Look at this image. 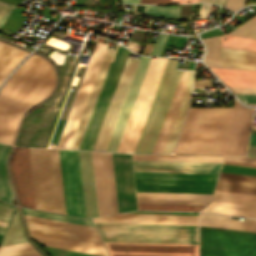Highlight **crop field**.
I'll list each match as a JSON object with an SVG mask.
<instances>
[{"instance_id":"51","label":"crop field","mask_w":256,"mask_h":256,"mask_svg":"<svg viewBox=\"0 0 256 256\" xmlns=\"http://www.w3.org/2000/svg\"><path fill=\"white\" fill-rule=\"evenodd\" d=\"M170 0H140L139 3H165L168 4Z\"/></svg>"},{"instance_id":"36","label":"crop field","mask_w":256,"mask_h":256,"mask_svg":"<svg viewBox=\"0 0 256 256\" xmlns=\"http://www.w3.org/2000/svg\"><path fill=\"white\" fill-rule=\"evenodd\" d=\"M23 213L26 214V215H32V216H37V217H43V218H48V219L60 220V221L71 222V223H76V224H82V225L95 227L93 222L91 220H88V219H82V218H76V217H70V216L40 212V211H37V210L27 209V208L23 209Z\"/></svg>"},{"instance_id":"15","label":"crop field","mask_w":256,"mask_h":256,"mask_svg":"<svg viewBox=\"0 0 256 256\" xmlns=\"http://www.w3.org/2000/svg\"><path fill=\"white\" fill-rule=\"evenodd\" d=\"M216 181L135 178L136 191L211 194Z\"/></svg>"},{"instance_id":"9","label":"crop field","mask_w":256,"mask_h":256,"mask_svg":"<svg viewBox=\"0 0 256 256\" xmlns=\"http://www.w3.org/2000/svg\"><path fill=\"white\" fill-rule=\"evenodd\" d=\"M96 41L101 42L102 39L97 38ZM99 42H96L93 48L92 54L90 56L89 62L84 72L82 81L80 83L79 89L77 91L76 97L71 107L69 116L67 118V121L64 126L63 132L61 134L60 140L58 142L57 148H69L72 142L74 133L79 123L81 114L83 112L85 103L90 93L96 73L98 71L103 54L108 44V43L104 44Z\"/></svg>"},{"instance_id":"49","label":"crop field","mask_w":256,"mask_h":256,"mask_svg":"<svg viewBox=\"0 0 256 256\" xmlns=\"http://www.w3.org/2000/svg\"><path fill=\"white\" fill-rule=\"evenodd\" d=\"M210 4H202L199 10V15L201 16L199 19H206L208 17L209 11L211 9Z\"/></svg>"},{"instance_id":"55","label":"crop field","mask_w":256,"mask_h":256,"mask_svg":"<svg viewBox=\"0 0 256 256\" xmlns=\"http://www.w3.org/2000/svg\"><path fill=\"white\" fill-rule=\"evenodd\" d=\"M120 2H131V3H138L139 0H118Z\"/></svg>"},{"instance_id":"1","label":"crop field","mask_w":256,"mask_h":256,"mask_svg":"<svg viewBox=\"0 0 256 256\" xmlns=\"http://www.w3.org/2000/svg\"><path fill=\"white\" fill-rule=\"evenodd\" d=\"M253 109L191 108L174 153L244 155Z\"/></svg>"},{"instance_id":"54","label":"crop field","mask_w":256,"mask_h":256,"mask_svg":"<svg viewBox=\"0 0 256 256\" xmlns=\"http://www.w3.org/2000/svg\"><path fill=\"white\" fill-rule=\"evenodd\" d=\"M214 3H216V4H220V5H225V3H226V0H215V2Z\"/></svg>"},{"instance_id":"57","label":"crop field","mask_w":256,"mask_h":256,"mask_svg":"<svg viewBox=\"0 0 256 256\" xmlns=\"http://www.w3.org/2000/svg\"><path fill=\"white\" fill-rule=\"evenodd\" d=\"M224 163H227V164H236V165H245V166H254V165L237 164V163H228V162H224ZM254 167H256V166H254Z\"/></svg>"},{"instance_id":"14","label":"crop field","mask_w":256,"mask_h":256,"mask_svg":"<svg viewBox=\"0 0 256 256\" xmlns=\"http://www.w3.org/2000/svg\"><path fill=\"white\" fill-rule=\"evenodd\" d=\"M10 174L19 204L35 208L28 148L15 147Z\"/></svg>"},{"instance_id":"33","label":"crop field","mask_w":256,"mask_h":256,"mask_svg":"<svg viewBox=\"0 0 256 256\" xmlns=\"http://www.w3.org/2000/svg\"><path fill=\"white\" fill-rule=\"evenodd\" d=\"M29 242L0 246V256H38Z\"/></svg>"},{"instance_id":"5","label":"crop field","mask_w":256,"mask_h":256,"mask_svg":"<svg viewBox=\"0 0 256 256\" xmlns=\"http://www.w3.org/2000/svg\"><path fill=\"white\" fill-rule=\"evenodd\" d=\"M95 224L104 241L198 244V226Z\"/></svg>"},{"instance_id":"19","label":"crop field","mask_w":256,"mask_h":256,"mask_svg":"<svg viewBox=\"0 0 256 256\" xmlns=\"http://www.w3.org/2000/svg\"><path fill=\"white\" fill-rule=\"evenodd\" d=\"M99 216L114 213L106 153L91 152Z\"/></svg>"},{"instance_id":"42","label":"crop field","mask_w":256,"mask_h":256,"mask_svg":"<svg viewBox=\"0 0 256 256\" xmlns=\"http://www.w3.org/2000/svg\"><path fill=\"white\" fill-rule=\"evenodd\" d=\"M203 41L207 46L205 57L221 59L218 38L214 37Z\"/></svg>"},{"instance_id":"27","label":"crop field","mask_w":256,"mask_h":256,"mask_svg":"<svg viewBox=\"0 0 256 256\" xmlns=\"http://www.w3.org/2000/svg\"><path fill=\"white\" fill-rule=\"evenodd\" d=\"M200 225L256 232V219L245 221L227 219V216L200 213Z\"/></svg>"},{"instance_id":"7","label":"crop field","mask_w":256,"mask_h":256,"mask_svg":"<svg viewBox=\"0 0 256 256\" xmlns=\"http://www.w3.org/2000/svg\"><path fill=\"white\" fill-rule=\"evenodd\" d=\"M200 256H256V233L200 226Z\"/></svg>"},{"instance_id":"59","label":"crop field","mask_w":256,"mask_h":256,"mask_svg":"<svg viewBox=\"0 0 256 256\" xmlns=\"http://www.w3.org/2000/svg\"><path fill=\"white\" fill-rule=\"evenodd\" d=\"M6 228L0 227V233L3 234Z\"/></svg>"},{"instance_id":"32","label":"crop field","mask_w":256,"mask_h":256,"mask_svg":"<svg viewBox=\"0 0 256 256\" xmlns=\"http://www.w3.org/2000/svg\"><path fill=\"white\" fill-rule=\"evenodd\" d=\"M223 156H198V155H133V159L147 160H177V161H207L221 162Z\"/></svg>"},{"instance_id":"10","label":"crop field","mask_w":256,"mask_h":256,"mask_svg":"<svg viewBox=\"0 0 256 256\" xmlns=\"http://www.w3.org/2000/svg\"><path fill=\"white\" fill-rule=\"evenodd\" d=\"M25 221L32 233L103 245L97 231L93 227L59 222L32 216H26Z\"/></svg>"},{"instance_id":"44","label":"crop field","mask_w":256,"mask_h":256,"mask_svg":"<svg viewBox=\"0 0 256 256\" xmlns=\"http://www.w3.org/2000/svg\"><path fill=\"white\" fill-rule=\"evenodd\" d=\"M14 8L15 5L0 1V28Z\"/></svg>"},{"instance_id":"17","label":"crop field","mask_w":256,"mask_h":256,"mask_svg":"<svg viewBox=\"0 0 256 256\" xmlns=\"http://www.w3.org/2000/svg\"><path fill=\"white\" fill-rule=\"evenodd\" d=\"M202 211L256 218V196L215 191Z\"/></svg>"},{"instance_id":"41","label":"crop field","mask_w":256,"mask_h":256,"mask_svg":"<svg viewBox=\"0 0 256 256\" xmlns=\"http://www.w3.org/2000/svg\"><path fill=\"white\" fill-rule=\"evenodd\" d=\"M230 35L256 39V20H249L238 29L230 33Z\"/></svg>"},{"instance_id":"48","label":"crop field","mask_w":256,"mask_h":256,"mask_svg":"<svg viewBox=\"0 0 256 256\" xmlns=\"http://www.w3.org/2000/svg\"><path fill=\"white\" fill-rule=\"evenodd\" d=\"M246 0H228L225 7L236 10L245 4Z\"/></svg>"},{"instance_id":"3","label":"crop field","mask_w":256,"mask_h":256,"mask_svg":"<svg viewBox=\"0 0 256 256\" xmlns=\"http://www.w3.org/2000/svg\"><path fill=\"white\" fill-rule=\"evenodd\" d=\"M179 60L168 59L152 106L134 153H151L182 71ZM188 72L183 71L152 153H161L186 89Z\"/></svg>"},{"instance_id":"50","label":"crop field","mask_w":256,"mask_h":256,"mask_svg":"<svg viewBox=\"0 0 256 256\" xmlns=\"http://www.w3.org/2000/svg\"><path fill=\"white\" fill-rule=\"evenodd\" d=\"M13 208H9V207H5V206H1L0 205V215H4V216H8L10 217L12 212H13Z\"/></svg>"},{"instance_id":"35","label":"crop field","mask_w":256,"mask_h":256,"mask_svg":"<svg viewBox=\"0 0 256 256\" xmlns=\"http://www.w3.org/2000/svg\"><path fill=\"white\" fill-rule=\"evenodd\" d=\"M135 177L216 180L218 175L134 172Z\"/></svg>"},{"instance_id":"26","label":"crop field","mask_w":256,"mask_h":256,"mask_svg":"<svg viewBox=\"0 0 256 256\" xmlns=\"http://www.w3.org/2000/svg\"><path fill=\"white\" fill-rule=\"evenodd\" d=\"M32 238L48 247L107 256L105 247L30 233Z\"/></svg>"},{"instance_id":"39","label":"crop field","mask_w":256,"mask_h":256,"mask_svg":"<svg viewBox=\"0 0 256 256\" xmlns=\"http://www.w3.org/2000/svg\"><path fill=\"white\" fill-rule=\"evenodd\" d=\"M179 8H180V6L169 7V6L145 5L144 14L160 16V17L177 20Z\"/></svg>"},{"instance_id":"23","label":"crop field","mask_w":256,"mask_h":256,"mask_svg":"<svg viewBox=\"0 0 256 256\" xmlns=\"http://www.w3.org/2000/svg\"><path fill=\"white\" fill-rule=\"evenodd\" d=\"M85 213L87 218L98 216L90 152L78 151Z\"/></svg>"},{"instance_id":"12","label":"crop field","mask_w":256,"mask_h":256,"mask_svg":"<svg viewBox=\"0 0 256 256\" xmlns=\"http://www.w3.org/2000/svg\"><path fill=\"white\" fill-rule=\"evenodd\" d=\"M59 154L67 214L85 217L77 151Z\"/></svg>"},{"instance_id":"4","label":"crop field","mask_w":256,"mask_h":256,"mask_svg":"<svg viewBox=\"0 0 256 256\" xmlns=\"http://www.w3.org/2000/svg\"><path fill=\"white\" fill-rule=\"evenodd\" d=\"M29 152L36 209L66 214L58 150Z\"/></svg>"},{"instance_id":"24","label":"crop field","mask_w":256,"mask_h":256,"mask_svg":"<svg viewBox=\"0 0 256 256\" xmlns=\"http://www.w3.org/2000/svg\"><path fill=\"white\" fill-rule=\"evenodd\" d=\"M138 203L205 205L211 195L136 192Z\"/></svg>"},{"instance_id":"56","label":"crop field","mask_w":256,"mask_h":256,"mask_svg":"<svg viewBox=\"0 0 256 256\" xmlns=\"http://www.w3.org/2000/svg\"><path fill=\"white\" fill-rule=\"evenodd\" d=\"M9 219H10V218H8V217L0 216V220H2V221L8 222Z\"/></svg>"},{"instance_id":"30","label":"crop field","mask_w":256,"mask_h":256,"mask_svg":"<svg viewBox=\"0 0 256 256\" xmlns=\"http://www.w3.org/2000/svg\"><path fill=\"white\" fill-rule=\"evenodd\" d=\"M193 72H189L187 89L185 91L184 97L182 99L181 105L179 107L178 113L176 115L175 121L171 128L170 134L168 136L167 142L165 144L164 150L162 153H171L174 143L176 141L177 135L179 133L180 127L182 125L183 119L185 117L186 111L189 105L191 83H192Z\"/></svg>"},{"instance_id":"38","label":"crop field","mask_w":256,"mask_h":256,"mask_svg":"<svg viewBox=\"0 0 256 256\" xmlns=\"http://www.w3.org/2000/svg\"><path fill=\"white\" fill-rule=\"evenodd\" d=\"M223 59L256 62V52L221 47Z\"/></svg>"},{"instance_id":"25","label":"crop field","mask_w":256,"mask_h":256,"mask_svg":"<svg viewBox=\"0 0 256 256\" xmlns=\"http://www.w3.org/2000/svg\"><path fill=\"white\" fill-rule=\"evenodd\" d=\"M215 190L256 195V176L221 172Z\"/></svg>"},{"instance_id":"2","label":"crop field","mask_w":256,"mask_h":256,"mask_svg":"<svg viewBox=\"0 0 256 256\" xmlns=\"http://www.w3.org/2000/svg\"><path fill=\"white\" fill-rule=\"evenodd\" d=\"M56 84V74L44 58L32 54L0 91V142L12 144L24 113L46 98Z\"/></svg>"},{"instance_id":"20","label":"crop field","mask_w":256,"mask_h":256,"mask_svg":"<svg viewBox=\"0 0 256 256\" xmlns=\"http://www.w3.org/2000/svg\"><path fill=\"white\" fill-rule=\"evenodd\" d=\"M151 57H141L111 140L106 151L115 152Z\"/></svg>"},{"instance_id":"45","label":"crop field","mask_w":256,"mask_h":256,"mask_svg":"<svg viewBox=\"0 0 256 256\" xmlns=\"http://www.w3.org/2000/svg\"><path fill=\"white\" fill-rule=\"evenodd\" d=\"M107 156H108L109 172H110L111 187H112V194H113L114 210H115V213H118L111 153H107Z\"/></svg>"},{"instance_id":"43","label":"crop field","mask_w":256,"mask_h":256,"mask_svg":"<svg viewBox=\"0 0 256 256\" xmlns=\"http://www.w3.org/2000/svg\"><path fill=\"white\" fill-rule=\"evenodd\" d=\"M247 157L256 158V147L249 146ZM246 158V157H225L224 161L228 162H237V163H246V164H255L256 159Z\"/></svg>"},{"instance_id":"46","label":"crop field","mask_w":256,"mask_h":256,"mask_svg":"<svg viewBox=\"0 0 256 256\" xmlns=\"http://www.w3.org/2000/svg\"><path fill=\"white\" fill-rule=\"evenodd\" d=\"M168 35H163V34H159L156 41H155V44H154V47L152 49V52L150 55H156L158 56V54L160 53L162 47H163V44L166 40Z\"/></svg>"},{"instance_id":"8","label":"crop field","mask_w":256,"mask_h":256,"mask_svg":"<svg viewBox=\"0 0 256 256\" xmlns=\"http://www.w3.org/2000/svg\"><path fill=\"white\" fill-rule=\"evenodd\" d=\"M125 48V47H124ZM117 45L105 81L97 99L88 127L79 149L92 150L128 55V50Z\"/></svg>"},{"instance_id":"31","label":"crop field","mask_w":256,"mask_h":256,"mask_svg":"<svg viewBox=\"0 0 256 256\" xmlns=\"http://www.w3.org/2000/svg\"><path fill=\"white\" fill-rule=\"evenodd\" d=\"M11 146L0 144V200L12 203L14 197L11 190L6 159Z\"/></svg>"},{"instance_id":"21","label":"crop field","mask_w":256,"mask_h":256,"mask_svg":"<svg viewBox=\"0 0 256 256\" xmlns=\"http://www.w3.org/2000/svg\"><path fill=\"white\" fill-rule=\"evenodd\" d=\"M94 222L112 223H147V224H181L198 225V216H171L145 214H118L93 219Z\"/></svg>"},{"instance_id":"47","label":"crop field","mask_w":256,"mask_h":256,"mask_svg":"<svg viewBox=\"0 0 256 256\" xmlns=\"http://www.w3.org/2000/svg\"><path fill=\"white\" fill-rule=\"evenodd\" d=\"M243 103H256V94H236Z\"/></svg>"},{"instance_id":"11","label":"crop field","mask_w":256,"mask_h":256,"mask_svg":"<svg viewBox=\"0 0 256 256\" xmlns=\"http://www.w3.org/2000/svg\"><path fill=\"white\" fill-rule=\"evenodd\" d=\"M139 60L138 58H127L93 150H106Z\"/></svg>"},{"instance_id":"60","label":"crop field","mask_w":256,"mask_h":256,"mask_svg":"<svg viewBox=\"0 0 256 256\" xmlns=\"http://www.w3.org/2000/svg\"><path fill=\"white\" fill-rule=\"evenodd\" d=\"M2 235L0 234V239H1Z\"/></svg>"},{"instance_id":"37","label":"crop field","mask_w":256,"mask_h":256,"mask_svg":"<svg viewBox=\"0 0 256 256\" xmlns=\"http://www.w3.org/2000/svg\"><path fill=\"white\" fill-rule=\"evenodd\" d=\"M221 46L256 51V40L236 36H220Z\"/></svg>"},{"instance_id":"28","label":"crop field","mask_w":256,"mask_h":256,"mask_svg":"<svg viewBox=\"0 0 256 256\" xmlns=\"http://www.w3.org/2000/svg\"><path fill=\"white\" fill-rule=\"evenodd\" d=\"M226 85L256 86V71L209 67Z\"/></svg>"},{"instance_id":"61","label":"crop field","mask_w":256,"mask_h":256,"mask_svg":"<svg viewBox=\"0 0 256 256\" xmlns=\"http://www.w3.org/2000/svg\"><path fill=\"white\" fill-rule=\"evenodd\" d=\"M254 19H256V17H254Z\"/></svg>"},{"instance_id":"52","label":"crop field","mask_w":256,"mask_h":256,"mask_svg":"<svg viewBox=\"0 0 256 256\" xmlns=\"http://www.w3.org/2000/svg\"><path fill=\"white\" fill-rule=\"evenodd\" d=\"M199 0H171L169 4H178V3H188V2H198Z\"/></svg>"},{"instance_id":"13","label":"crop field","mask_w":256,"mask_h":256,"mask_svg":"<svg viewBox=\"0 0 256 256\" xmlns=\"http://www.w3.org/2000/svg\"><path fill=\"white\" fill-rule=\"evenodd\" d=\"M104 243L109 256H198V245Z\"/></svg>"},{"instance_id":"6","label":"crop field","mask_w":256,"mask_h":256,"mask_svg":"<svg viewBox=\"0 0 256 256\" xmlns=\"http://www.w3.org/2000/svg\"><path fill=\"white\" fill-rule=\"evenodd\" d=\"M168 58L151 59L116 152L133 153Z\"/></svg>"},{"instance_id":"34","label":"crop field","mask_w":256,"mask_h":256,"mask_svg":"<svg viewBox=\"0 0 256 256\" xmlns=\"http://www.w3.org/2000/svg\"><path fill=\"white\" fill-rule=\"evenodd\" d=\"M25 241H27V239L24 236V232L19 221L18 213L17 211H15V214L8 227V230L0 245Z\"/></svg>"},{"instance_id":"53","label":"crop field","mask_w":256,"mask_h":256,"mask_svg":"<svg viewBox=\"0 0 256 256\" xmlns=\"http://www.w3.org/2000/svg\"><path fill=\"white\" fill-rule=\"evenodd\" d=\"M249 144L256 145V133H252Z\"/></svg>"},{"instance_id":"58","label":"crop field","mask_w":256,"mask_h":256,"mask_svg":"<svg viewBox=\"0 0 256 256\" xmlns=\"http://www.w3.org/2000/svg\"><path fill=\"white\" fill-rule=\"evenodd\" d=\"M199 2H211V3H213L214 0H200Z\"/></svg>"},{"instance_id":"22","label":"crop field","mask_w":256,"mask_h":256,"mask_svg":"<svg viewBox=\"0 0 256 256\" xmlns=\"http://www.w3.org/2000/svg\"><path fill=\"white\" fill-rule=\"evenodd\" d=\"M113 53H114L113 49L107 48L106 53L103 58V61L101 63L100 69L98 71L96 80L94 82L93 88L91 90L90 96L88 98L86 107L84 109L83 115L81 117L79 126L77 128L76 134H75L73 142L71 144L70 148H72V149L79 148V145H80L82 137L84 135L86 126H87L89 118L91 116L93 107H94L96 99L98 97L100 88L102 86V83H103L104 77L106 75L107 69L109 67Z\"/></svg>"},{"instance_id":"40","label":"crop field","mask_w":256,"mask_h":256,"mask_svg":"<svg viewBox=\"0 0 256 256\" xmlns=\"http://www.w3.org/2000/svg\"><path fill=\"white\" fill-rule=\"evenodd\" d=\"M203 206L138 204L139 209L200 211Z\"/></svg>"},{"instance_id":"18","label":"crop field","mask_w":256,"mask_h":256,"mask_svg":"<svg viewBox=\"0 0 256 256\" xmlns=\"http://www.w3.org/2000/svg\"><path fill=\"white\" fill-rule=\"evenodd\" d=\"M220 164L221 163L133 160V169L134 171L148 172L218 174Z\"/></svg>"},{"instance_id":"16","label":"crop field","mask_w":256,"mask_h":256,"mask_svg":"<svg viewBox=\"0 0 256 256\" xmlns=\"http://www.w3.org/2000/svg\"><path fill=\"white\" fill-rule=\"evenodd\" d=\"M119 213L136 210L130 155L112 153Z\"/></svg>"},{"instance_id":"29","label":"crop field","mask_w":256,"mask_h":256,"mask_svg":"<svg viewBox=\"0 0 256 256\" xmlns=\"http://www.w3.org/2000/svg\"><path fill=\"white\" fill-rule=\"evenodd\" d=\"M27 55L28 52L0 42V84Z\"/></svg>"}]
</instances>
